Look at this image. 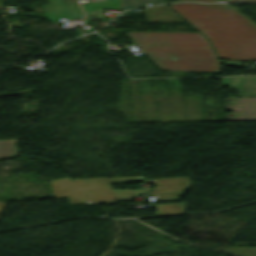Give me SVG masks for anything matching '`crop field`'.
<instances>
[{
	"label": "crop field",
	"mask_w": 256,
	"mask_h": 256,
	"mask_svg": "<svg viewBox=\"0 0 256 256\" xmlns=\"http://www.w3.org/2000/svg\"><path fill=\"white\" fill-rule=\"evenodd\" d=\"M16 140H1L0 141V159L14 157L19 154L15 147Z\"/></svg>",
	"instance_id": "f4fd0767"
},
{
	"label": "crop field",
	"mask_w": 256,
	"mask_h": 256,
	"mask_svg": "<svg viewBox=\"0 0 256 256\" xmlns=\"http://www.w3.org/2000/svg\"><path fill=\"white\" fill-rule=\"evenodd\" d=\"M146 3L154 4H161L164 3V0H135L136 7L133 5L132 0H122L120 7L121 9H129V8H139L146 6Z\"/></svg>",
	"instance_id": "dd49c442"
},
{
	"label": "crop field",
	"mask_w": 256,
	"mask_h": 256,
	"mask_svg": "<svg viewBox=\"0 0 256 256\" xmlns=\"http://www.w3.org/2000/svg\"><path fill=\"white\" fill-rule=\"evenodd\" d=\"M224 2H256V0H223Z\"/></svg>",
	"instance_id": "e52e79f7"
},
{
	"label": "crop field",
	"mask_w": 256,
	"mask_h": 256,
	"mask_svg": "<svg viewBox=\"0 0 256 256\" xmlns=\"http://www.w3.org/2000/svg\"><path fill=\"white\" fill-rule=\"evenodd\" d=\"M126 34L162 70L220 72L213 49L201 33Z\"/></svg>",
	"instance_id": "ac0d7876"
},
{
	"label": "crop field",
	"mask_w": 256,
	"mask_h": 256,
	"mask_svg": "<svg viewBox=\"0 0 256 256\" xmlns=\"http://www.w3.org/2000/svg\"><path fill=\"white\" fill-rule=\"evenodd\" d=\"M238 77L222 78L223 86H233ZM234 86L240 90L241 97L256 96V77H240Z\"/></svg>",
	"instance_id": "34b2d1b8"
},
{
	"label": "crop field",
	"mask_w": 256,
	"mask_h": 256,
	"mask_svg": "<svg viewBox=\"0 0 256 256\" xmlns=\"http://www.w3.org/2000/svg\"><path fill=\"white\" fill-rule=\"evenodd\" d=\"M121 0H95V3L83 5L88 19H91L89 11L101 8H118Z\"/></svg>",
	"instance_id": "412701ff"
},
{
	"label": "crop field",
	"mask_w": 256,
	"mask_h": 256,
	"mask_svg": "<svg viewBox=\"0 0 256 256\" xmlns=\"http://www.w3.org/2000/svg\"><path fill=\"white\" fill-rule=\"evenodd\" d=\"M77 30H78L79 34L81 35V33H80V29H77Z\"/></svg>",
	"instance_id": "d8731c3e"
},
{
	"label": "crop field",
	"mask_w": 256,
	"mask_h": 256,
	"mask_svg": "<svg viewBox=\"0 0 256 256\" xmlns=\"http://www.w3.org/2000/svg\"><path fill=\"white\" fill-rule=\"evenodd\" d=\"M171 7L211 41L219 58L256 59V26L223 4L173 3Z\"/></svg>",
	"instance_id": "8a807250"
}]
</instances>
